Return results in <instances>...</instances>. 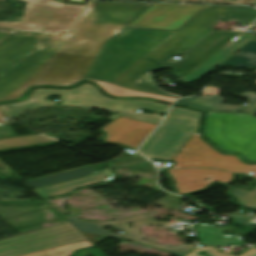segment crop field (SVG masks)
<instances>
[{
  "label": "crop field",
  "mask_w": 256,
  "mask_h": 256,
  "mask_svg": "<svg viewBox=\"0 0 256 256\" xmlns=\"http://www.w3.org/2000/svg\"><path fill=\"white\" fill-rule=\"evenodd\" d=\"M198 238L200 243L209 245L242 244L238 235L225 236L222 234V228L216 227H198ZM231 239V241H228Z\"/></svg>",
  "instance_id": "17"
},
{
  "label": "crop field",
  "mask_w": 256,
  "mask_h": 256,
  "mask_svg": "<svg viewBox=\"0 0 256 256\" xmlns=\"http://www.w3.org/2000/svg\"><path fill=\"white\" fill-rule=\"evenodd\" d=\"M124 166H130V167L139 166V168L147 169V170H152L154 168L153 164L149 161H142V162H138L130 165H124Z\"/></svg>",
  "instance_id": "27"
},
{
  "label": "crop field",
  "mask_w": 256,
  "mask_h": 256,
  "mask_svg": "<svg viewBox=\"0 0 256 256\" xmlns=\"http://www.w3.org/2000/svg\"><path fill=\"white\" fill-rule=\"evenodd\" d=\"M218 92H219V89H218V88L210 86L209 88H206V89L203 91L202 94H203L204 96H205V95H208V94L214 95V94H218Z\"/></svg>",
  "instance_id": "30"
},
{
  "label": "crop field",
  "mask_w": 256,
  "mask_h": 256,
  "mask_svg": "<svg viewBox=\"0 0 256 256\" xmlns=\"http://www.w3.org/2000/svg\"><path fill=\"white\" fill-rule=\"evenodd\" d=\"M256 83V82H255Z\"/></svg>",
  "instance_id": "41"
},
{
  "label": "crop field",
  "mask_w": 256,
  "mask_h": 256,
  "mask_svg": "<svg viewBox=\"0 0 256 256\" xmlns=\"http://www.w3.org/2000/svg\"><path fill=\"white\" fill-rule=\"evenodd\" d=\"M38 135H41V134H38ZM41 136H43V135H41ZM43 137H46V136H43ZM46 138H48V137H46ZM51 139V138H50ZM56 141V140H55Z\"/></svg>",
  "instance_id": "37"
},
{
  "label": "crop field",
  "mask_w": 256,
  "mask_h": 256,
  "mask_svg": "<svg viewBox=\"0 0 256 256\" xmlns=\"http://www.w3.org/2000/svg\"><path fill=\"white\" fill-rule=\"evenodd\" d=\"M231 195L237 197V203L249 208H256V189L248 191L241 188H233Z\"/></svg>",
  "instance_id": "21"
},
{
  "label": "crop field",
  "mask_w": 256,
  "mask_h": 256,
  "mask_svg": "<svg viewBox=\"0 0 256 256\" xmlns=\"http://www.w3.org/2000/svg\"><path fill=\"white\" fill-rule=\"evenodd\" d=\"M52 142L50 139L43 138L37 135H30L6 140H0V149L14 148L26 146L36 143Z\"/></svg>",
  "instance_id": "20"
},
{
  "label": "crop field",
  "mask_w": 256,
  "mask_h": 256,
  "mask_svg": "<svg viewBox=\"0 0 256 256\" xmlns=\"http://www.w3.org/2000/svg\"><path fill=\"white\" fill-rule=\"evenodd\" d=\"M239 54H234L228 60L220 64L222 68H245L255 66L256 63V41L250 40L241 49Z\"/></svg>",
  "instance_id": "16"
},
{
  "label": "crop field",
  "mask_w": 256,
  "mask_h": 256,
  "mask_svg": "<svg viewBox=\"0 0 256 256\" xmlns=\"http://www.w3.org/2000/svg\"><path fill=\"white\" fill-rule=\"evenodd\" d=\"M185 256H235L230 254H221L214 247L203 246L195 247ZM239 256H256V249L252 248Z\"/></svg>",
  "instance_id": "22"
},
{
  "label": "crop field",
  "mask_w": 256,
  "mask_h": 256,
  "mask_svg": "<svg viewBox=\"0 0 256 256\" xmlns=\"http://www.w3.org/2000/svg\"><path fill=\"white\" fill-rule=\"evenodd\" d=\"M205 135L221 150L256 161V118L244 113L207 112Z\"/></svg>",
  "instance_id": "4"
},
{
  "label": "crop field",
  "mask_w": 256,
  "mask_h": 256,
  "mask_svg": "<svg viewBox=\"0 0 256 256\" xmlns=\"http://www.w3.org/2000/svg\"><path fill=\"white\" fill-rule=\"evenodd\" d=\"M200 112L173 107L170 114L139 149L146 158L170 160L193 131L198 128Z\"/></svg>",
  "instance_id": "5"
},
{
  "label": "crop field",
  "mask_w": 256,
  "mask_h": 256,
  "mask_svg": "<svg viewBox=\"0 0 256 256\" xmlns=\"http://www.w3.org/2000/svg\"><path fill=\"white\" fill-rule=\"evenodd\" d=\"M234 20L249 24L256 19V8L207 5L177 32L125 28L110 40L91 68L87 78L113 82L143 56L146 57L114 84L127 89L179 98L157 87L148 70L170 67L179 78L185 77L240 32H212L219 21ZM208 35L179 61L168 62L174 54L185 53Z\"/></svg>",
  "instance_id": "2"
},
{
  "label": "crop field",
  "mask_w": 256,
  "mask_h": 256,
  "mask_svg": "<svg viewBox=\"0 0 256 256\" xmlns=\"http://www.w3.org/2000/svg\"><path fill=\"white\" fill-rule=\"evenodd\" d=\"M203 6L154 3L127 26L177 30Z\"/></svg>",
  "instance_id": "9"
},
{
  "label": "crop field",
  "mask_w": 256,
  "mask_h": 256,
  "mask_svg": "<svg viewBox=\"0 0 256 256\" xmlns=\"http://www.w3.org/2000/svg\"><path fill=\"white\" fill-rule=\"evenodd\" d=\"M173 160L176 163L174 167H212L234 172L251 171L254 172L252 177L256 178V165H247L236 156L218 153L198 134H193Z\"/></svg>",
  "instance_id": "7"
},
{
  "label": "crop field",
  "mask_w": 256,
  "mask_h": 256,
  "mask_svg": "<svg viewBox=\"0 0 256 256\" xmlns=\"http://www.w3.org/2000/svg\"><path fill=\"white\" fill-rule=\"evenodd\" d=\"M155 1H176V0H155Z\"/></svg>",
  "instance_id": "36"
},
{
  "label": "crop field",
  "mask_w": 256,
  "mask_h": 256,
  "mask_svg": "<svg viewBox=\"0 0 256 256\" xmlns=\"http://www.w3.org/2000/svg\"><path fill=\"white\" fill-rule=\"evenodd\" d=\"M92 172H94V170L91 169L89 166H87L85 168L72 170V171L60 173V174L45 177V178L30 180L27 182V184H29L33 188L43 187L45 185L90 175Z\"/></svg>",
  "instance_id": "18"
},
{
  "label": "crop field",
  "mask_w": 256,
  "mask_h": 256,
  "mask_svg": "<svg viewBox=\"0 0 256 256\" xmlns=\"http://www.w3.org/2000/svg\"><path fill=\"white\" fill-rule=\"evenodd\" d=\"M253 40H256V37H254Z\"/></svg>",
  "instance_id": "39"
},
{
  "label": "crop field",
  "mask_w": 256,
  "mask_h": 256,
  "mask_svg": "<svg viewBox=\"0 0 256 256\" xmlns=\"http://www.w3.org/2000/svg\"><path fill=\"white\" fill-rule=\"evenodd\" d=\"M114 175L111 174V170L106 169L103 171L96 172L90 177L80 178L44 188L37 189V192L42 195L44 198L54 196L57 194L69 192L77 186L87 185L99 181H108L113 178Z\"/></svg>",
  "instance_id": "14"
},
{
  "label": "crop field",
  "mask_w": 256,
  "mask_h": 256,
  "mask_svg": "<svg viewBox=\"0 0 256 256\" xmlns=\"http://www.w3.org/2000/svg\"><path fill=\"white\" fill-rule=\"evenodd\" d=\"M237 96H241L243 98H246L250 101V104L247 106V112L254 115L256 113V94L252 92H245L242 95L234 94Z\"/></svg>",
  "instance_id": "25"
},
{
  "label": "crop field",
  "mask_w": 256,
  "mask_h": 256,
  "mask_svg": "<svg viewBox=\"0 0 256 256\" xmlns=\"http://www.w3.org/2000/svg\"><path fill=\"white\" fill-rule=\"evenodd\" d=\"M224 99L218 95L198 98L179 99L174 104L190 106L207 111L240 112L246 111V107L240 105H222Z\"/></svg>",
  "instance_id": "15"
},
{
  "label": "crop field",
  "mask_w": 256,
  "mask_h": 256,
  "mask_svg": "<svg viewBox=\"0 0 256 256\" xmlns=\"http://www.w3.org/2000/svg\"><path fill=\"white\" fill-rule=\"evenodd\" d=\"M28 1L21 22H0V28L35 32L68 31L77 19L80 6L62 5L52 0Z\"/></svg>",
  "instance_id": "6"
},
{
  "label": "crop field",
  "mask_w": 256,
  "mask_h": 256,
  "mask_svg": "<svg viewBox=\"0 0 256 256\" xmlns=\"http://www.w3.org/2000/svg\"><path fill=\"white\" fill-rule=\"evenodd\" d=\"M168 171L177 183L175 186L179 194L203 189L215 180L223 183L232 179L230 172L214 169H168ZM207 177L210 179L204 181L203 179Z\"/></svg>",
  "instance_id": "12"
},
{
  "label": "crop field",
  "mask_w": 256,
  "mask_h": 256,
  "mask_svg": "<svg viewBox=\"0 0 256 256\" xmlns=\"http://www.w3.org/2000/svg\"><path fill=\"white\" fill-rule=\"evenodd\" d=\"M148 1H154V0H148Z\"/></svg>",
  "instance_id": "40"
},
{
  "label": "crop field",
  "mask_w": 256,
  "mask_h": 256,
  "mask_svg": "<svg viewBox=\"0 0 256 256\" xmlns=\"http://www.w3.org/2000/svg\"><path fill=\"white\" fill-rule=\"evenodd\" d=\"M70 5H76V4H70ZM81 6H85V5H81Z\"/></svg>",
  "instance_id": "38"
},
{
  "label": "crop field",
  "mask_w": 256,
  "mask_h": 256,
  "mask_svg": "<svg viewBox=\"0 0 256 256\" xmlns=\"http://www.w3.org/2000/svg\"><path fill=\"white\" fill-rule=\"evenodd\" d=\"M13 32L14 31L0 30V42H2L5 38H7Z\"/></svg>",
  "instance_id": "31"
},
{
  "label": "crop field",
  "mask_w": 256,
  "mask_h": 256,
  "mask_svg": "<svg viewBox=\"0 0 256 256\" xmlns=\"http://www.w3.org/2000/svg\"><path fill=\"white\" fill-rule=\"evenodd\" d=\"M67 220H69L75 227H77L79 230L82 231H88V232H93V233H98V234H104V235H109V236H123L124 239L130 240V241H135V242H140L144 244H148L151 246H155L158 248L165 249L167 251H170L172 253L178 254L180 256H184L187 254L191 249H193L196 245H181V246H176V247H163L160 245L144 242L140 240L137 228L138 225L142 223H150V224H170L174 222V219H172L170 222H157L154 219L150 217H143V216H137L135 218H132L128 221H110V222H92V221H83V220H78L72 216L66 217ZM133 222L132 228H129L127 225V222ZM187 221V220H185ZM109 224L112 227H114L117 230H122L124 231L123 235H113L105 230L102 229L101 226Z\"/></svg>",
  "instance_id": "10"
},
{
  "label": "crop field",
  "mask_w": 256,
  "mask_h": 256,
  "mask_svg": "<svg viewBox=\"0 0 256 256\" xmlns=\"http://www.w3.org/2000/svg\"><path fill=\"white\" fill-rule=\"evenodd\" d=\"M244 221H245V218L234 217V222H236V223H244Z\"/></svg>",
  "instance_id": "32"
},
{
  "label": "crop field",
  "mask_w": 256,
  "mask_h": 256,
  "mask_svg": "<svg viewBox=\"0 0 256 256\" xmlns=\"http://www.w3.org/2000/svg\"><path fill=\"white\" fill-rule=\"evenodd\" d=\"M140 159H142V157L140 155L129 156V157L125 158L124 160H120V161H117L114 164H109V165L113 166V165H118V164L127 163V162H131V161H136V160H140Z\"/></svg>",
  "instance_id": "28"
},
{
  "label": "crop field",
  "mask_w": 256,
  "mask_h": 256,
  "mask_svg": "<svg viewBox=\"0 0 256 256\" xmlns=\"http://www.w3.org/2000/svg\"><path fill=\"white\" fill-rule=\"evenodd\" d=\"M156 125L129 118L119 117L104 128L106 142L124 144L136 149Z\"/></svg>",
  "instance_id": "11"
},
{
  "label": "crop field",
  "mask_w": 256,
  "mask_h": 256,
  "mask_svg": "<svg viewBox=\"0 0 256 256\" xmlns=\"http://www.w3.org/2000/svg\"><path fill=\"white\" fill-rule=\"evenodd\" d=\"M198 226H210L208 224H198Z\"/></svg>",
  "instance_id": "35"
},
{
  "label": "crop field",
  "mask_w": 256,
  "mask_h": 256,
  "mask_svg": "<svg viewBox=\"0 0 256 256\" xmlns=\"http://www.w3.org/2000/svg\"><path fill=\"white\" fill-rule=\"evenodd\" d=\"M60 95L61 106H91L110 111L134 113L136 109H146L166 114L169 105L154 101L109 99L100 94L93 85L83 84L73 90L34 89L30 96L20 103L0 105V111L7 121L26 109L43 105H55L46 97Z\"/></svg>",
  "instance_id": "3"
},
{
  "label": "crop field",
  "mask_w": 256,
  "mask_h": 256,
  "mask_svg": "<svg viewBox=\"0 0 256 256\" xmlns=\"http://www.w3.org/2000/svg\"><path fill=\"white\" fill-rule=\"evenodd\" d=\"M149 5L90 2L72 33H15L0 45V101L20 98L34 85L84 79L107 39Z\"/></svg>",
  "instance_id": "1"
},
{
  "label": "crop field",
  "mask_w": 256,
  "mask_h": 256,
  "mask_svg": "<svg viewBox=\"0 0 256 256\" xmlns=\"http://www.w3.org/2000/svg\"><path fill=\"white\" fill-rule=\"evenodd\" d=\"M157 69H162V68H153V69H150L149 70V73H151L152 71H155V70H157ZM167 69V68H166Z\"/></svg>",
  "instance_id": "34"
},
{
  "label": "crop field",
  "mask_w": 256,
  "mask_h": 256,
  "mask_svg": "<svg viewBox=\"0 0 256 256\" xmlns=\"http://www.w3.org/2000/svg\"><path fill=\"white\" fill-rule=\"evenodd\" d=\"M82 233V232H81ZM89 241H91L93 244L105 239L106 237L96 236L92 234L82 233Z\"/></svg>",
  "instance_id": "29"
},
{
  "label": "crop field",
  "mask_w": 256,
  "mask_h": 256,
  "mask_svg": "<svg viewBox=\"0 0 256 256\" xmlns=\"http://www.w3.org/2000/svg\"><path fill=\"white\" fill-rule=\"evenodd\" d=\"M75 249H77V247L70 243L22 256H70Z\"/></svg>",
  "instance_id": "23"
},
{
  "label": "crop field",
  "mask_w": 256,
  "mask_h": 256,
  "mask_svg": "<svg viewBox=\"0 0 256 256\" xmlns=\"http://www.w3.org/2000/svg\"><path fill=\"white\" fill-rule=\"evenodd\" d=\"M119 115L146 121V122H150V123H154V124H157L161 120V118H159V117L147 116V115H143V114H126V113L115 114L108 119L113 120V119L117 118Z\"/></svg>",
  "instance_id": "24"
},
{
  "label": "crop field",
  "mask_w": 256,
  "mask_h": 256,
  "mask_svg": "<svg viewBox=\"0 0 256 256\" xmlns=\"http://www.w3.org/2000/svg\"><path fill=\"white\" fill-rule=\"evenodd\" d=\"M87 81H90V80H87ZM94 82L106 93L114 96L148 97V98L164 100L169 102H172L175 99V98L164 97V96H159V95H154L149 93L131 91L114 84H107V83L96 82V81Z\"/></svg>",
  "instance_id": "19"
},
{
  "label": "crop field",
  "mask_w": 256,
  "mask_h": 256,
  "mask_svg": "<svg viewBox=\"0 0 256 256\" xmlns=\"http://www.w3.org/2000/svg\"><path fill=\"white\" fill-rule=\"evenodd\" d=\"M256 0H237V1H229V0H179L178 2H212V3H246V4H254Z\"/></svg>",
  "instance_id": "26"
},
{
  "label": "crop field",
  "mask_w": 256,
  "mask_h": 256,
  "mask_svg": "<svg viewBox=\"0 0 256 256\" xmlns=\"http://www.w3.org/2000/svg\"><path fill=\"white\" fill-rule=\"evenodd\" d=\"M253 36L254 35L241 32L234 39H232L228 44H226L223 48H221L218 52L212 55L209 59H207L204 63H202L199 67L193 70L190 74H188L182 80L184 82H192L198 79L199 76L208 73L215 66H217L221 61H223L228 56L232 55L234 50L238 49L241 45H243Z\"/></svg>",
  "instance_id": "13"
},
{
  "label": "crop field",
  "mask_w": 256,
  "mask_h": 256,
  "mask_svg": "<svg viewBox=\"0 0 256 256\" xmlns=\"http://www.w3.org/2000/svg\"><path fill=\"white\" fill-rule=\"evenodd\" d=\"M84 238L68 222L0 241V256H16Z\"/></svg>",
  "instance_id": "8"
},
{
  "label": "crop field",
  "mask_w": 256,
  "mask_h": 256,
  "mask_svg": "<svg viewBox=\"0 0 256 256\" xmlns=\"http://www.w3.org/2000/svg\"><path fill=\"white\" fill-rule=\"evenodd\" d=\"M3 124H7V122H6V120L4 119V117L0 113V125H3Z\"/></svg>",
  "instance_id": "33"
}]
</instances>
